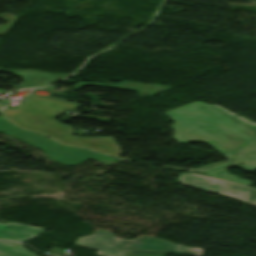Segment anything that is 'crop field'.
I'll return each instance as SVG.
<instances>
[{
    "mask_svg": "<svg viewBox=\"0 0 256 256\" xmlns=\"http://www.w3.org/2000/svg\"><path fill=\"white\" fill-rule=\"evenodd\" d=\"M34 99V101H31ZM80 105L63 103L54 99L31 95L15 109L8 106L2 110L5 118L14 124L70 145H79L104 152L113 157L120 155L119 148L111 137H78L71 135L70 125L57 123L56 117L69 109H77ZM58 110V113L55 111Z\"/></svg>",
    "mask_w": 256,
    "mask_h": 256,
    "instance_id": "crop-field-2",
    "label": "crop field"
},
{
    "mask_svg": "<svg viewBox=\"0 0 256 256\" xmlns=\"http://www.w3.org/2000/svg\"><path fill=\"white\" fill-rule=\"evenodd\" d=\"M166 116L176 123L174 139L181 143L201 141L209 143L217 151L229 158L228 162L206 166L195 172L210 176L233 179L251 185L249 180L238 179L228 174L231 167L256 170V123H249L219 106L195 102L166 112ZM244 164V166H239Z\"/></svg>",
    "mask_w": 256,
    "mask_h": 256,
    "instance_id": "crop-field-1",
    "label": "crop field"
},
{
    "mask_svg": "<svg viewBox=\"0 0 256 256\" xmlns=\"http://www.w3.org/2000/svg\"><path fill=\"white\" fill-rule=\"evenodd\" d=\"M76 245L97 250L100 256H124L127 251L191 254L201 256L202 249L187 248L151 237H141L136 240L115 238L111 232L98 230L91 236L78 238Z\"/></svg>",
    "mask_w": 256,
    "mask_h": 256,
    "instance_id": "crop-field-3",
    "label": "crop field"
},
{
    "mask_svg": "<svg viewBox=\"0 0 256 256\" xmlns=\"http://www.w3.org/2000/svg\"><path fill=\"white\" fill-rule=\"evenodd\" d=\"M0 132L10 134L23 142L44 150L51 159L64 165H73L89 158L104 162L108 165L115 161L113 158L82 148L61 146L40 135L20 130L2 118H0Z\"/></svg>",
    "mask_w": 256,
    "mask_h": 256,
    "instance_id": "crop-field-4",
    "label": "crop field"
},
{
    "mask_svg": "<svg viewBox=\"0 0 256 256\" xmlns=\"http://www.w3.org/2000/svg\"><path fill=\"white\" fill-rule=\"evenodd\" d=\"M13 244H16L13 246ZM20 245V246H17ZM0 254L5 256H38L23 248V244H17L0 240Z\"/></svg>",
    "mask_w": 256,
    "mask_h": 256,
    "instance_id": "crop-field-8",
    "label": "crop field"
},
{
    "mask_svg": "<svg viewBox=\"0 0 256 256\" xmlns=\"http://www.w3.org/2000/svg\"><path fill=\"white\" fill-rule=\"evenodd\" d=\"M46 229L36 228L18 223H0V237L24 242Z\"/></svg>",
    "mask_w": 256,
    "mask_h": 256,
    "instance_id": "crop-field-7",
    "label": "crop field"
},
{
    "mask_svg": "<svg viewBox=\"0 0 256 256\" xmlns=\"http://www.w3.org/2000/svg\"><path fill=\"white\" fill-rule=\"evenodd\" d=\"M179 182L203 190L224 194L256 205V189L198 174H180Z\"/></svg>",
    "mask_w": 256,
    "mask_h": 256,
    "instance_id": "crop-field-5",
    "label": "crop field"
},
{
    "mask_svg": "<svg viewBox=\"0 0 256 256\" xmlns=\"http://www.w3.org/2000/svg\"><path fill=\"white\" fill-rule=\"evenodd\" d=\"M2 106H4V105L0 104V108H1Z\"/></svg>",
    "mask_w": 256,
    "mask_h": 256,
    "instance_id": "crop-field-9",
    "label": "crop field"
},
{
    "mask_svg": "<svg viewBox=\"0 0 256 256\" xmlns=\"http://www.w3.org/2000/svg\"><path fill=\"white\" fill-rule=\"evenodd\" d=\"M0 72L12 73L13 75L19 76L24 79V81L16 88V90L29 87L45 86L67 76L62 74L25 70L12 71L0 69Z\"/></svg>",
    "mask_w": 256,
    "mask_h": 256,
    "instance_id": "crop-field-6",
    "label": "crop field"
}]
</instances>
